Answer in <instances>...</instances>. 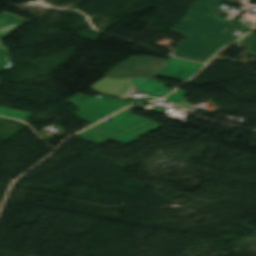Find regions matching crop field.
Here are the masks:
<instances>
[{"label": "crop field", "instance_id": "ac0d7876", "mask_svg": "<svg viewBox=\"0 0 256 256\" xmlns=\"http://www.w3.org/2000/svg\"><path fill=\"white\" fill-rule=\"evenodd\" d=\"M166 63L167 60L162 58L131 56L104 75L110 78L146 77L156 80Z\"/></svg>", "mask_w": 256, "mask_h": 256}, {"label": "crop field", "instance_id": "412701ff", "mask_svg": "<svg viewBox=\"0 0 256 256\" xmlns=\"http://www.w3.org/2000/svg\"><path fill=\"white\" fill-rule=\"evenodd\" d=\"M23 21L25 20L15 17L11 14L4 13L0 17V38L21 24ZM7 57V49L0 45V71L9 65V63L4 60Z\"/></svg>", "mask_w": 256, "mask_h": 256}, {"label": "crop field", "instance_id": "34b2d1b8", "mask_svg": "<svg viewBox=\"0 0 256 256\" xmlns=\"http://www.w3.org/2000/svg\"><path fill=\"white\" fill-rule=\"evenodd\" d=\"M131 111L132 109L130 108L124 110L105 122L116 125L140 136H143L162 126L145 118L138 117L130 113Z\"/></svg>", "mask_w": 256, "mask_h": 256}, {"label": "crop field", "instance_id": "f4fd0767", "mask_svg": "<svg viewBox=\"0 0 256 256\" xmlns=\"http://www.w3.org/2000/svg\"><path fill=\"white\" fill-rule=\"evenodd\" d=\"M0 115L26 121L32 114L0 107Z\"/></svg>", "mask_w": 256, "mask_h": 256}, {"label": "crop field", "instance_id": "dd49c442", "mask_svg": "<svg viewBox=\"0 0 256 256\" xmlns=\"http://www.w3.org/2000/svg\"><path fill=\"white\" fill-rule=\"evenodd\" d=\"M252 35H254L253 38L246 46L245 44L249 41V39L251 38ZM238 43H239V45L247 47L246 53L256 54V34H253L251 32V33L247 34L246 36H244L242 40L238 41Z\"/></svg>", "mask_w": 256, "mask_h": 256}, {"label": "crop field", "instance_id": "8a807250", "mask_svg": "<svg viewBox=\"0 0 256 256\" xmlns=\"http://www.w3.org/2000/svg\"><path fill=\"white\" fill-rule=\"evenodd\" d=\"M222 1L194 0L185 19L168 29L186 36L173 49V56L208 62L222 46L238 39L235 30L245 33L241 26L221 19L217 8Z\"/></svg>", "mask_w": 256, "mask_h": 256}, {"label": "crop field", "instance_id": "e52e79f7", "mask_svg": "<svg viewBox=\"0 0 256 256\" xmlns=\"http://www.w3.org/2000/svg\"><path fill=\"white\" fill-rule=\"evenodd\" d=\"M189 100H190V99H186V100L180 102L179 104L183 105L182 108H184V109H186V110H191V109H193L195 106H193V105L187 103Z\"/></svg>", "mask_w": 256, "mask_h": 256}]
</instances>
